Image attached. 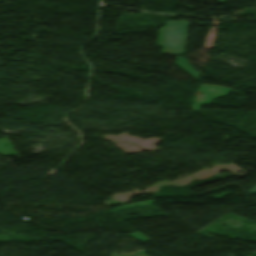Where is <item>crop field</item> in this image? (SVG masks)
Segmentation results:
<instances>
[{"label": "crop field", "mask_w": 256, "mask_h": 256, "mask_svg": "<svg viewBox=\"0 0 256 256\" xmlns=\"http://www.w3.org/2000/svg\"><path fill=\"white\" fill-rule=\"evenodd\" d=\"M188 23H166L160 29L157 46L162 47L161 54H183Z\"/></svg>", "instance_id": "8a807250"}, {"label": "crop field", "mask_w": 256, "mask_h": 256, "mask_svg": "<svg viewBox=\"0 0 256 256\" xmlns=\"http://www.w3.org/2000/svg\"><path fill=\"white\" fill-rule=\"evenodd\" d=\"M220 3H222V4H223V3H224V0H221V1H220Z\"/></svg>", "instance_id": "ac0d7876"}]
</instances>
